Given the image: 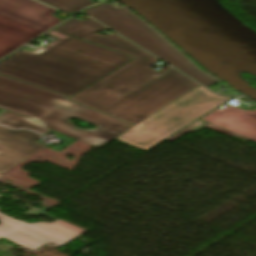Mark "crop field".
<instances>
[{
  "instance_id": "3",
  "label": "crop field",
  "mask_w": 256,
  "mask_h": 256,
  "mask_svg": "<svg viewBox=\"0 0 256 256\" xmlns=\"http://www.w3.org/2000/svg\"><path fill=\"white\" fill-rule=\"evenodd\" d=\"M68 97L0 75V108L26 117L40 125L81 140L98 148L109 143L133 125L120 121L81 104ZM60 99L72 103L63 108L51 103ZM69 117H77L97 125L94 130L75 127Z\"/></svg>"
},
{
  "instance_id": "8",
  "label": "crop field",
  "mask_w": 256,
  "mask_h": 256,
  "mask_svg": "<svg viewBox=\"0 0 256 256\" xmlns=\"http://www.w3.org/2000/svg\"><path fill=\"white\" fill-rule=\"evenodd\" d=\"M40 136L27 130L12 131L0 127V173H5L46 147L34 142Z\"/></svg>"
},
{
  "instance_id": "5",
  "label": "crop field",
  "mask_w": 256,
  "mask_h": 256,
  "mask_svg": "<svg viewBox=\"0 0 256 256\" xmlns=\"http://www.w3.org/2000/svg\"><path fill=\"white\" fill-rule=\"evenodd\" d=\"M85 13L96 18L119 34L152 52L180 71L209 87L221 82L216 76L203 71L185 54L125 6L118 9L110 4L91 8Z\"/></svg>"
},
{
  "instance_id": "2",
  "label": "crop field",
  "mask_w": 256,
  "mask_h": 256,
  "mask_svg": "<svg viewBox=\"0 0 256 256\" xmlns=\"http://www.w3.org/2000/svg\"><path fill=\"white\" fill-rule=\"evenodd\" d=\"M133 58L69 36L37 56L18 51L0 74L71 97Z\"/></svg>"
},
{
  "instance_id": "1",
  "label": "crop field",
  "mask_w": 256,
  "mask_h": 256,
  "mask_svg": "<svg viewBox=\"0 0 256 256\" xmlns=\"http://www.w3.org/2000/svg\"><path fill=\"white\" fill-rule=\"evenodd\" d=\"M83 40L136 58L70 100L133 125L199 85L173 69L149 81V77L162 74L171 67L157 72L149 68L159 60L115 33L108 37L95 33Z\"/></svg>"
},
{
  "instance_id": "11",
  "label": "crop field",
  "mask_w": 256,
  "mask_h": 256,
  "mask_svg": "<svg viewBox=\"0 0 256 256\" xmlns=\"http://www.w3.org/2000/svg\"><path fill=\"white\" fill-rule=\"evenodd\" d=\"M0 124L14 128V129H19V128H29L35 132H38L42 135L47 133L50 129L44 128L34 122L33 120L8 112V111H3L2 115L0 116Z\"/></svg>"
},
{
  "instance_id": "12",
  "label": "crop field",
  "mask_w": 256,
  "mask_h": 256,
  "mask_svg": "<svg viewBox=\"0 0 256 256\" xmlns=\"http://www.w3.org/2000/svg\"><path fill=\"white\" fill-rule=\"evenodd\" d=\"M47 5L65 11L67 13H74L83 7L94 4L91 0H38Z\"/></svg>"
},
{
  "instance_id": "10",
  "label": "crop field",
  "mask_w": 256,
  "mask_h": 256,
  "mask_svg": "<svg viewBox=\"0 0 256 256\" xmlns=\"http://www.w3.org/2000/svg\"><path fill=\"white\" fill-rule=\"evenodd\" d=\"M105 29L101 25L95 23L91 19H86L84 21H79L75 18L69 20L68 22L64 23L63 25L59 26L55 30L60 32L77 36L81 39L98 32L100 30Z\"/></svg>"
},
{
  "instance_id": "7",
  "label": "crop field",
  "mask_w": 256,
  "mask_h": 256,
  "mask_svg": "<svg viewBox=\"0 0 256 256\" xmlns=\"http://www.w3.org/2000/svg\"><path fill=\"white\" fill-rule=\"evenodd\" d=\"M43 215L55 219L56 222L27 224L0 213V238L4 237L34 251L47 242L62 245L86 231L46 213Z\"/></svg>"
},
{
  "instance_id": "4",
  "label": "crop field",
  "mask_w": 256,
  "mask_h": 256,
  "mask_svg": "<svg viewBox=\"0 0 256 256\" xmlns=\"http://www.w3.org/2000/svg\"><path fill=\"white\" fill-rule=\"evenodd\" d=\"M231 98L217 96L199 85L138 123L116 140L146 151Z\"/></svg>"
},
{
  "instance_id": "9",
  "label": "crop field",
  "mask_w": 256,
  "mask_h": 256,
  "mask_svg": "<svg viewBox=\"0 0 256 256\" xmlns=\"http://www.w3.org/2000/svg\"><path fill=\"white\" fill-rule=\"evenodd\" d=\"M201 120L256 141V109L229 106L219 108Z\"/></svg>"
},
{
  "instance_id": "13",
  "label": "crop field",
  "mask_w": 256,
  "mask_h": 256,
  "mask_svg": "<svg viewBox=\"0 0 256 256\" xmlns=\"http://www.w3.org/2000/svg\"><path fill=\"white\" fill-rule=\"evenodd\" d=\"M54 104L56 105H60V106H64V107H69L71 106L70 103H66V102H63V101H60V100H54L52 101Z\"/></svg>"
},
{
  "instance_id": "15",
  "label": "crop field",
  "mask_w": 256,
  "mask_h": 256,
  "mask_svg": "<svg viewBox=\"0 0 256 256\" xmlns=\"http://www.w3.org/2000/svg\"><path fill=\"white\" fill-rule=\"evenodd\" d=\"M1 175V174H0Z\"/></svg>"
},
{
  "instance_id": "14",
  "label": "crop field",
  "mask_w": 256,
  "mask_h": 256,
  "mask_svg": "<svg viewBox=\"0 0 256 256\" xmlns=\"http://www.w3.org/2000/svg\"><path fill=\"white\" fill-rule=\"evenodd\" d=\"M172 69V68H171ZM170 70V69H169ZM168 70V71H169ZM159 76H161L160 74H158V75H155V76H153V77H151V78H149L150 80H154V79H156L157 77H159Z\"/></svg>"
},
{
  "instance_id": "6",
  "label": "crop field",
  "mask_w": 256,
  "mask_h": 256,
  "mask_svg": "<svg viewBox=\"0 0 256 256\" xmlns=\"http://www.w3.org/2000/svg\"><path fill=\"white\" fill-rule=\"evenodd\" d=\"M33 0H0V58L62 22Z\"/></svg>"
}]
</instances>
